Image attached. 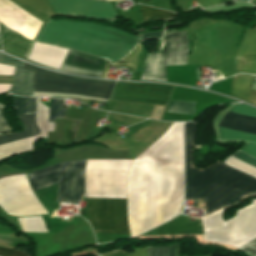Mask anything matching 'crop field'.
Masks as SVG:
<instances>
[{"instance_id": "16", "label": "crop field", "mask_w": 256, "mask_h": 256, "mask_svg": "<svg viewBox=\"0 0 256 256\" xmlns=\"http://www.w3.org/2000/svg\"><path fill=\"white\" fill-rule=\"evenodd\" d=\"M240 150H242L256 158V145L255 144L249 143V144L245 145L244 147H242ZM232 156L256 167V160L245 155L244 153H242L239 150L236 153L232 154ZM232 156L230 158H228L226 161H224V163H226L227 165H229L233 168H236L242 172H245L249 175L256 177V168L251 167V166L237 160L236 158H234Z\"/></svg>"}, {"instance_id": "37", "label": "crop field", "mask_w": 256, "mask_h": 256, "mask_svg": "<svg viewBox=\"0 0 256 256\" xmlns=\"http://www.w3.org/2000/svg\"><path fill=\"white\" fill-rule=\"evenodd\" d=\"M175 256H183L181 255V243L175 244Z\"/></svg>"}, {"instance_id": "36", "label": "crop field", "mask_w": 256, "mask_h": 256, "mask_svg": "<svg viewBox=\"0 0 256 256\" xmlns=\"http://www.w3.org/2000/svg\"><path fill=\"white\" fill-rule=\"evenodd\" d=\"M135 252L131 253L129 256H147L146 248L134 249Z\"/></svg>"}, {"instance_id": "34", "label": "crop field", "mask_w": 256, "mask_h": 256, "mask_svg": "<svg viewBox=\"0 0 256 256\" xmlns=\"http://www.w3.org/2000/svg\"><path fill=\"white\" fill-rule=\"evenodd\" d=\"M14 67L0 65V75H13Z\"/></svg>"}, {"instance_id": "15", "label": "crop field", "mask_w": 256, "mask_h": 256, "mask_svg": "<svg viewBox=\"0 0 256 256\" xmlns=\"http://www.w3.org/2000/svg\"><path fill=\"white\" fill-rule=\"evenodd\" d=\"M67 52V49L35 42L27 58L59 70Z\"/></svg>"}, {"instance_id": "3", "label": "crop field", "mask_w": 256, "mask_h": 256, "mask_svg": "<svg viewBox=\"0 0 256 256\" xmlns=\"http://www.w3.org/2000/svg\"><path fill=\"white\" fill-rule=\"evenodd\" d=\"M162 35L163 32L140 34V40L160 38ZM36 41L88 53L113 63L122 57L138 38L108 27L49 20L45 22Z\"/></svg>"}, {"instance_id": "4", "label": "crop field", "mask_w": 256, "mask_h": 256, "mask_svg": "<svg viewBox=\"0 0 256 256\" xmlns=\"http://www.w3.org/2000/svg\"><path fill=\"white\" fill-rule=\"evenodd\" d=\"M223 209L201 219L205 235L203 238L223 243L243 246L256 237V200L247 207L238 210L234 218L222 221ZM167 232H203L200 219L194 222L177 216L171 221L144 234Z\"/></svg>"}, {"instance_id": "23", "label": "crop field", "mask_w": 256, "mask_h": 256, "mask_svg": "<svg viewBox=\"0 0 256 256\" xmlns=\"http://www.w3.org/2000/svg\"><path fill=\"white\" fill-rule=\"evenodd\" d=\"M139 6L141 8V13L145 21L151 20V19H169L175 15L174 13H170V12H166L158 9H154V8H150L142 5H139Z\"/></svg>"}, {"instance_id": "6", "label": "crop field", "mask_w": 256, "mask_h": 256, "mask_svg": "<svg viewBox=\"0 0 256 256\" xmlns=\"http://www.w3.org/2000/svg\"><path fill=\"white\" fill-rule=\"evenodd\" d=\"M24 69L34 71V91L71 94L108 99L114 83L73 78L24 63Z\"/></svg>"}, {"instance_id": "38", "label": "crop field", "mask_w": 256, "mask_h": 256, "mask_svg": "<svg viewBox=\"0 0 256 256\" xmlns=\"http://www.w3.org/2000/svg\"><path fill=\"white\" fill-rule=\"evenodd\" d=\"M9 87L10 85L0 84V93L7 91Z\"/></svg>"}, {"instance_id": "25", "label": "crop field", "mask_w": 256, "mask_h": 256, "mask_svg": "<svg viewBox=\"0 0 256 256\" xmlns=\"http://www.w3.org/2000/svg\"><path fill=\"white\" fill-rule=\"evenodd\" d=\"M82 120L65 118L64 139H76Z\"/></svg>"}, {"instance_id": "5", "label": "crop field", "mask_w": 256, "mask_h": 256, "mask_svg": "<svg viewBox=\"0 0 256 256\" xmlns=\"http://www.w3.org/2000/svg\"><path fill=\"white\" fill-rule=\"evenodd\" d=\"M84 160L62 162L28 174L34 191L58 183L56 202L78 204L84 189Z\"/></svg>"}, {"instance_id": "19", "label": "crop field", "mask_w": 256, "mask_h": 256, "mask_svg": "<svg viewBox=\"0 0 256 256\" xmlns=\"http://www.w3.org/2000/svg\"><path fill=\"white\" fill-rule=\"evenodd\" d=\"M32 41L23 38L21 35L10 31L6 28V38H5V49L16 53L22 57H26Z\"/></svg>"}, {"instance_id": "30", "label": "crop field", "mask_w": 256, "mask_h": 256, "mask_svg": "<svg viewBox=\"0 0 256 256\" xmlns=\"http://www.w3.org/2000/svg\"><path fill=\"white\" fill-rule=\"evenodd\" d=\"M0 64L12 65L22 67L23 62L10 58L8 56L0 54Z\"/></svg>"}, {"instance_id": "35", "label": "crop field", "mask_w": 256, "mask_h": 256, "mask_svg": "<svg viewBox=\"0 0 256 256\" xmlns=\"http://www.w3.org/2000/svg\"><path fill=\"white\" fill-rule=\"evenodd\" d=\"M129 253L123 250H115L108 253L100 254L99 256H127Z\"/></svg>"}, {"instance_id": "33", "label": "crop field", "mask_w": 256, "mask_h": 256, "mask_svg": "<svg viewBox=\"0 0 256 256\" xmlns=\"http://www.w3.org/2000/svg\"><path fill=\"white\" fill-rule=\"evenodd\" d=\"M11 131L8 123L6 122L5 118L2 115V110L0 109V133Z\"/></svg>"}, {"instance_id": "20", "label": "crop field", "mask_w": 256, "mask_h": 256, "mask_svg": "<svg viewBox=\"0 0 256 256\" xmlns=\"http://www.w3.org/2000/svg\"><path fill=\"white\" fill-rule=\"evenodd\" d=\"M49 108L40 103L37 97L36 123L41 130V138H47V131H54V123L48 122Z\"/></svg>"}, {"instance_id": "26", "label": "crop field", "mask_w": 256, "mask_h": 256, "mask_svg": "<svg viewBox=\"0 0 256 256\" xmlns=\"http://www.w3.org/2000/svg\"><path fill=\"white\" fill-rule=\"evenodd\" d=\"M63 103L64 100L51 99L49 121L64 117L66 108H62Z\"/></svg>"}, {"instance_id": "2", "label": "crop field", "mask_w": 256, "mask_h": 256, "mask_svg": "<svg viewBox=\"0 0 256 256\" xmlns=\"http://www.w3.org/2000/svg\"><path fill=\"white\" fill-rule=\"evenodd\" d=\"M195 123H185V200L205 199L206 215L256 194V179L224 163L199 171L189 165Z\"/></svg>"}, {"instance_id": "8", "label": "crop field", "mask_w": 256, "mask_h": 256, "mask_svg": "<svg viewBox=\"0 0 256 256\" xmlns=\"http://www.w3.org/2000/svg\"><path fill=\"white\" fill-rule=\"evenodd\" d=\"M88 219L95 233L129 235L126 199L86 198Z\"/></svg>"}, {"instance_id": "11", "label": "crop field", "mask_w": 256, "mask_h": 256, "mask_svg": "<svg viewBox=\"0 0 256 256\" xmlns=\"http://www.w3.org/2000/svg\"><path fill=\"white\" fill-rule=\"evenodd\" d=\"M56 14H77L94 18L116 15L110 3L95 0H48Z\"/></svg>"}, {"instance_id": "28", "label": "crop field", "mask_w": 256, "mask_h": 256, "mask_svg": "<svg viewBox=\"0 0 256 256\" xmlns=\"http://www.w3.org/2000/svg\"><path fill=\"white\" fill-rule=\"evenodd\" d=\"M220 72L223 74V77H229L233 75V59L219 65Z\"/></svg>"}, {"instance_id": "32", "label": "crop field", "mask_w": 256, "mask_h": 256, "mask_svg": "<svg viewBox=\"0 0 256 256\" xmlns=\"http://www.w3.org/2000/svg\"><path fill=\"white\" fill-rule=\"evenodd\" d=\"M202 7L207 8V7H211V6H215V5H219L222 3H226L232 0H199Z\"/></svg>"}, {"instance_id": "18", "label": "crop field", "mask_w": 256, "mask_h": 256, "mask_svg": "<svg viewBox=\"0 0 256 256\" xmlns=\"http://www.w3.org/2000/svg\"><path fill=\"white\" fill-rule=\"evenodd\" d=\"M33 72L15 67L10 93L22 96H32Z\"/></svg>"}, {"instance_id": "1", "label": "crop field", "mask_w": 256, "mask_h": 256, "mask_svg": "<svg viewBox=\"0 0 256 256\" xmlns=\"http://www.w3.org/2000/svg\"><path fill=\"white\" fill-rule=\"evenodd\" d=\"M137 160L183 169V123H176ZM133 160L128 170L130 235L140 234L180 214L183 170Z\"/></svg>"}, {"instance_id": "27", "label": "crop field", "mask_w": 256, "mask_h": 256, "mask_svg": "<svg viewBox=\"0 0 256 256\" xmlns=\"http://www.w3.org/2000/svg\"><path fill=\"white\" fill-rule=\"evenodd\" d=\"M148 256H174V244L169 246H147Z\"/></svg>"}, {"instance_id": "13", "label": "crop field", "mask_w": 256, "mask_h": 256, "mask_svg": "<svg viewBox=\"0 0 256 256\" xmlns=\"http://www.w3.org/2000/svg\"><path fill=\"white\" fill-rule=\"evenodd\" d=\"M105 62L106 60L91 57L82 53L69 50L63 64L79 67L83 69L102 71L104 68ZM64 65L61 66L60 71H63L66 73L96 77V78H100L102 73L97 71H88V70L78 69V68L64 66Z\"/></svg>"}, {"instance_id": "39", "label": "crop field", "mask_w": 256, "mask_h": 256, "mask_svg": "<svg viewBox=\"0 0 256 256\" xmlns=\"http://www.w3.org/2000/svg\"><path fill=\"white\" fill-rule=\"evenodd\" d=\"M136 1H148V0H136Z\"/></svg>"}, {"instance_id": "14", "label": "crop field", "mask_w": 256, "mask_h": 256, "mask_svg": "<svg viewBox=\"0 0 256 256\" xmlns=\"http://www.w3.org/2000/svg\"><path fill=\"white\" fill-rule=\"evenodd\" d=\"M256 74V32L247 30L235 55V74Z\"/></svg>"}, {"instance_id": "29", "label": "crop field", "mask_w": 256, "mask_h": 256, "mask_svg": "<svg viewBox=\"0 0 256 256\" xmlns=\"http://www.w3.org/2000/svg\"><path fill=\"white\" fill-rule=\"evenodd\" d=\"M0 256H30L28 253L0 247Z\"/></svg>"}, {"instance_id": "17", "label": "crop field", "mask_w": 256, "mask_h": 256, "mask_svg": "<svg viewBox=\"0 0 256 256\" xmlns=\"http://www.w3.org/2000/svg\"><path fill=\"white\" fill-rule=\"evenodd\" d=\"M254 76L236 75L233 77L231 96L256 105V91L251 90Z\"/></svg>"}, {"instance_id": "22", "label": "crop field", "mask_w": 256, "mask_h": 256, "mask_svg": "<svg viewBox=\"0 0 256 256\" xmlns=\"http://www.w3.org/2000/svg\"><path fill=\"white\" fill-rule=\"evenodd\" d=\"M214 29H215V33L218 41L220 56L230 54L231 52L230 43H231L233 31L226 28H214Z\"/></svg>"}, {"instance_id": "21", "label": "crop field", "mask_w": 256, "mask_h": 256, "mask_svg": "<svg viewBox=\"0 0 256 256\" xmlns=\"http://www.w3.org/2000/svg\"><path fill=\"white\" fill-rule=\"evenodd\" d=\"M11 97L16 115L35 113L36 97Z\"/></svg>"}, {"instance_id": "9", "label": "crop field", "mask_w": 256, "mask_h": 256, "mask_svg": "<svg viewBox=\"0 0 256 256\" xmlns=\"http://www.w3.org/2000/svg\"><path fill=\"white\" fill-rule=\"evenodd\" d=\"M176 86L118 82L110 99L167 105Z\"/></svg>"}, {"instance_id": "24", "label": "crop field", "mask_w": 256, "mask_h": 256, "mask_svg": "<svg viewBox=\"0 0 256 256\" xmlns=\"http://www.w3.org/2000/svg\"><path fill=\"white\" fill-rule=\"evenodd\" d=\"M195 102L171 100L167 111L194 114Z\"/></svg>"}, {"instance_id": "12", "label": "crop field", "mask_w": 256, "mask_h": 256, "mask_svg": "<svg viewBox=\"0 0 256 256\" xmlns=\"http://www.w3.org/2000/svg\"><path fill=\"white\" fill-rule=\"evenodd\" d=\"M17 118L23 126V132L0 135V145L39 135L40 131L35 123V114L19 115ZM38 137L39 136L0 146V157L31 149Z\"/></svg>"}, {"instance_id": "7", "label": "crop field", "mask_w": 256, "mask_h": 256, "mask_svg": "<svg viewBox=\"0 0 256 256\" xmlns=\"http://www.w3.org/2000/svg\"><path fill=\"white\" fill-rule=\"evenodd\" d=\"M160 53L148 55L140 80H158ZM188 42L186 31L165 33L162 37V49L159 65V80L166 79V66L186 64Z\"/></svg>"}, {"instance_id": "31", "label": "crop field", "mask_w": 256, "mask_h": 256, "mask_svg": "<svg viewBox=\"0 0 256 256\" xmlns=\"http://www.w3.org/2000/svg\"><path fill=\"white\" fill-rule=\"evenodd\" d=\"M239 249L256 256V238Z\"/></svg>"}, {"instance_id": "10", "label": "crop field", "mask_w": 256, "mask_h": 256, "mask_svg": "<svg viewBox=\"0 0 256 256\" xmlns=\"http://www.w3.org/2000/svg\"><path fill=\"white\" fill-rule=\"evenodd\" d=\"M230 112L256 117V109L245 105H234ZM227 112L219 126L256 134V118ZM219 127L220 138L243 139L256 143V135Z\"/></svg>"}, {"instance_id": "40", "label": "crop field", "mask_w": 256, "mask_h": 256, "mask_svg": "<svg viewBox=\"0 0 256 256\" xmlns=\"http://www.w3.org/2000/svg\"><path fill=\"white\" fill-rule=\"evenodd\" d=\"M115 1H117V0H115Z\"/></svg>"}]
</instances>
